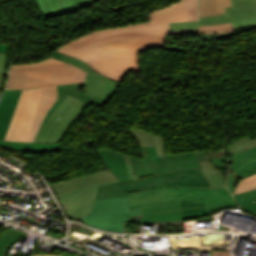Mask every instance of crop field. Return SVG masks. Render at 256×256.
<instances>
[{"mask_svg": "<svg viewBox=\"0 0 256 256\" xmlns=\"http://www.w3.org/2000/svg\"><path fill=\"white\" fill-rule=\"evenodd\" d=\"M169 30V24L151 25V22L99 30L79 36L56 51L89 64L117 53L163 46Z\"/></svg>", "mask_w": 256, "mask_h": 256, "instance_id": "1", "label": "crop field"}, {"mask_svg": "<svg viewBox=\"0 0 256 256\" xmlns=\"http://www.w3.org/2000/svg\"><path fill=\"white\" fill-rule=\"evenodd\" d=\"M180 198L205 202L209 211L235 205L227 188L180 187ZM141 208L143 222L182 220L179 198L130 206Z\"/></svg>", "mask_w": 256, "mask_h": 256, "instance_id": "2", "label": "crop field"}, {"mask_svg": "<svg viewBox=\"0 0 256 256\" xmlns=\"http://www.w3.org/2000/svg\"><path fill=\"white\" fill-rule=\"evenodd\" d=\"M110 170L53 184L68 216L82 220L91 212L97 196V186L117 182Z\"/></svg>", "mask_w": 256, "mask_h": 256, "instance_id": "3", "label": "crop field"}, {"mask_svg": "<svg viewBox=\"0 0 256 256\" xmlns=\"http://www.w3.org/2000/svg\"><path fill=\"white\" fill-rule=\"evenodd\" d=\"M87 72L68 63L33 68H11L6 88L29 89L84 81Z\"/></svg>", "mask_w": 256, "mask_h": 256, "instance_id": "4", "label": "crop field"}, {"mask_svg": "<svg viewBox=\"0 0 256 256\" xmlns=\"http://www.w3.org/2000/svg\"><path fill=\"white\" fill-rule=\"evenodd\" d=\"M165 186L210 187L200 170L187 169L160 174L137 181H128L124 183L117 182L100 186L98 187L97 199L123 197L128 196L127 192L130 191L147 190Z\"/></svg>", "mask_w": 256, "mask_h": 256, "instance_id": "5", "label": "crop field"}, {"mask_svg": "<svg viewBox=\"0 0 256 256\" xmlns=\"http://www.w3.org/2000/svg\"><path fill=\"white\" fill-rule=\"evenodd\" d=\"M127 217H141L139 210H129L128 197L96 200L89 216L82 221L86 225L107 231L122 232V220Z\"/></svg>", "mask_w": 256, "mask_h": 256, "instance_id": "6", "label": "crop field"}, {"mask_svg": "<svg viewBox=\"0 0 256 256\" xmlns=\"http://www.w3.org/2000/svg\"><path fill=\"white\" fill-rule=\"evenodd\" d=\"M85 107L80 100L68 95L47 119L36 142H61Z\"/></svg>", "mask_w": 256, "mask_h": 256, "instance_id": "7", "label": "crop field"}, {"mask_svg": "<svg viewBox=\"0 0 256 256\" xmlns=\"http://www.w3.org/2000/svg\"><path fill=\"white\" fill-rule=\"evenodd\" d=\"M143 157L144 160L130 157L135 171L140 178L187 168H201L194 151L180 154Z\"/></svg>", "mask_w": 256, "mask_h": 256, "instance_id": "8", "label": "crop field"}, {"mask_svg": "<svg viewBox=\"0 0 256 256\" xmlns=\"http://www.w3.org/2000/svg\"><path fill=\"white\" fill-rule=\"evenodd\" d=\"M233 7L225 14L200 18V22L170 24L171 30L198 29V25H212L231 22L235 29L256 25V0H232Z\"/></svg>", "mask_w": 256, "mask_h": 256, "instance_id": "9", "label": "crop field"}, {"mask_svg": "<svg viewBox=\"0 0 256 256\" xmlns=\"http://www.w3.org/2000/svg\"><path fill=\"white\" fill-rule=\"evenodd\" d=\"M150 49H163V47ZM147 50L113 55L97 60L89 64V66L98 73L122 83L131 69H135V72H141L138 52H146Z\"/></svg>", "mask_w": 256, "mask_h": 256, "instance_id": "10", "label": "crop field"}, {"mask_svg": "<svg viewBox=\"0 0 256 256\" xmlns=\"http://www.w3.org/2000/svg\"><path fill=\"white\" fill-rule=\"evenodd\" d=\"M52 58L68 62L88 72L82 91L83 93L110 100L113 93L120 85V83L111 81L94 72L88 65L73 57L54 52Z\"/></svg>", "mask_w": 256, "mask_h": 256, "instance_id": "11", "label": "crop field"}, {"mask_svg": "<svg viewBox=\"0 0 256 256\" xmlns=\"http://www.w3.org/2000/svg\"><path fill=\"white\" fill-rule=\"evenodd\" d=\"M152 24L198 20V0H179L150 13Z\"/></svg>", "mask_w": 256, "mask_h": 256, "instance_id": "12", "label": "crop field"}, {"mask_svg": "<svg viewBox=\"0 0 256 256\" xmlns=\"http://www.w3.org/2000/svg\"><path fill=\"white\" fill-rule=\"evenodd\" d=\"M231 172L229 173L228 187L231 193L234 192L235 186L242 178L256 173V147L231 154Z\"/></svg>", "mask_w": 256, "mask_h": 256, "instance_id": "13", "label": "crop field"}, {"mask_svg": "<svg viewBox=\"0 0 256 256\" xmlns=\"http://www.w3.org/2000/svg\"><path fill=\"white\" fill-rule=\"evenodd\" d=\"M44 19L83 10L97 0H35Z\"/></svg>", "mask_w": 256, "mask_h": 256, "instance_id": "14", "label": "crop field"}, {"mask_svg": "<svg viewBox=\"0 0 256 256\" xmlns=\"http://www.w3.org/2000/svg\"><path fill=\"white\" fill-rule=\"evenodd\" d=\"M55 101H57V86L42 87L40 90L37 111L27 142L34 141L42 121Z\"/></svg>", "mask_w": 256, "mask_h": 256, "instance_id": "15", "label": "crop field"}, {"mask_svg": "<svg viewBox=\"0 0 256 256\" xmlns=\"http://www.w3.org/2000/svg\"><path fill=\"white\" fill-rule=\"evenodd\" d=\"M39 90L40 88L30 89L26 92L23 112L15 141H27L29 130L37 107Z\"/></svg>", "mask_w": 256, "mask_h": 256, "instance_id": "16", "label": "crop field"}, {"mask_svg": "<svg viewBox=\"0 0 256 256\" xmlns=\"http://www.w3.org/2000/svg\"><path fill=\"white\" fill-rule=\"evenodd\" d=\"M83 83L84 82L59 85L58 86V101L55 102L53 107L50 109V111L48 112L45 120L49 117V115L55 110V108L64 100V98L68 94H70V95L80 99L87 106H89L90 104H94V105H97V106H100V107H104L105 104L108 101L81 93L82 87H83ZM45 120H44V122H45ZM44 122H43V124H44ZM43 124H42V126H43ZM42 126H41V128H42ZM36 139H37V137H36ZM36 139H35V141H36Z\"/></svg>", "mask_w": 256, "mask_h": 256, "instance_id": "17", "label": "crop field"}, {"mask_svg": "<svg viewBox=\"0 0 256 256\" xmlns=\"http://www.w3.org/2000/svg\"><path fill=\"white\" fill-rule=\"evenodd\" d=\"M22 90H5L0 101V139L3 140Z\"/></svg>", "mask_w": 256, "mask_h": 256, "instance_id": "18", "label": "crop field"}, {"mask_svg": "<svg viewBox=\"0 0 256 256\" xmlns=\"http://www.w3.org/2000/svg\"><path fill=\"white\" fill-rule=\"evenodd\" d=\"M167 194V195H165ZM130 205L179 197V187L130 193Z\"/></svg>", "mask_w": 256, "mask_h": 256, "instance_id": "19", "label": "crop field"}, {"mask_svg": "<svg viewBox=\"0 0 256 256\" xmlns=\"http://www.w3.org/2000/svg\"><path fill=\"white\" fill-rule=\"evenodd\" d=\"M102 160L108 166V168L114 173V175L119 179L120 182L128 181L129 178L124 169L122 161L119 157L118 152L111 150L101 149L97 151Z\"/></svg>", "mask_w": 256, "mask_h": 256, "instance_id": "20", "label": "crop field"}, {"mask_svg": "<svg viewBox=\"0 0 256 256\" xmlns=\"http://www.w3.org/2000/svg\"><path fill=\"white\" fill-rule=\"evenodd\" d=\"M0 147L18 151L52 152L59 151L60 143H19L0 141Z\"/></svg>", "mask_w": 256, "mask_h": 256, "instance_id": "21", "label": "crop field"}, {"mask_svg": "<svg viewBox=\"0 0 256 256\" xmlns=\"http://www.w3.org/2000/svg\"><path fill=\"white\" fill-rule=\"evenodd\" d=\"M195 153L202 167L201 172L206 177L211 187H225L224 178L220 170L213 169L211 162L208 160L203 151Z\"/></svg>", "mask_w": 256, "mask_h": 256, "instance_id": "22", "label": "crop field"}, {"mask_svg": "<svg viewBox=\"0 0 256 256\" xmlns=\"http://www.w3.org/2000/svg\"><path fill=\"white\" fill-rule=\"evenodd\" d=\"M229 6L231 0H200V17L222 14Z\"/></svg>", "mask_w": 256, "mask_h": 256, "instance_id": "23", "label": "crop field"}, {"mask_svg": "<svg viewBox=\"0 0 256 256\" xmlns=\"http://www.w3.org/2000/svg\"><path fill=\"white\" fill-rule=\"evenodd\" d=\"M25 232L9 227L0 237V256H5L11 244L17 239L23 237ZM63 256H80V255H63Z\"/></svg>", "mask_w": 256, "mask_h": 256, "instance_id": "24", "label": "crop field"}, {"mask_svg": "<svg viewBox=\"0 0 256 256\" xmlns=\"http://www.w3.org/2000/svg\"><path fill=\"white\" fill-rule=\"evenodd\" d=\"M233 197L243 209L256 214V189L233 195Z\"/></svg>", "mask_w": 256, "mask_h": 256, "instance_id": "25", "label": "crop field"}, {"mask_svg": "<svg viewBox=\"0 0 256 256\" xmlns=\"http://www.w3.org/2000/svg\"><path fill=\"white\" fill-rule=\"evenodd\" d=\"M235 30L231 23L219 24L213 26H199V30L193 31H170L168 34H191V33H225Z\"/></svg>", "mask_w": 256, "mask_h": 256, "instance_id": "26", "label": "crop field"}, {"mask_svg": "<svg viewBox=\"0 0 256 256\" xmlns=\"http://www.w3.org/2000/svg\"><path fill=\"white\" fill-rule=\"evenodd\" d=\"M25 92H26V90L22 91V94H21V97L19 99L15 114L13 116V119L11 121L10 127L8 129V132H7L6 137H5L4 140L14 141V139H15L17 127H18L21 112H22Z\"/></svg>", "mask_w": 256, "mask_h": 256, "instance_id": "27", "label": "crop field"}, {"mask_svg": "<svg viewBox=\"0 0 256 256\" xmlns=\"http://www.w3.org/2000/svg\"><path fill=\"white\" fill-rule=\"evenodd\" d=\"M254 146H256V138L251 140L250 137L247 136L234 141L232 144L228 146V150L229 153L231 154L234 152L249 149Z\"/></svg>", "mask_w": 256, "mask_h": 256, "instance_id": "28", "label": "crop field"}, {"mask_svg": "<svg viewBox=\"0 0 256 256\" xmlns=\"http://www.w3.org/2000/svg\"><path fill=\"white\" fill-rule=\"evenodd\" d=\"M131 131L141 145H155L152 133L144 132L136 128L131 129Z\"/></svg>", "mask_w": 256, "mask_h": 256, "instance_id": "29", "label": "crop field"}, {"mask_svg": "<svg viewBox=\"0 0 256 256\" xmlns=\"http://www.w3.org/2000/svg\"><path fill=\"white\" fill-rule=\"evenodd\" d=\"M183 220L211 215L207 208H187L182 210Z\"/></svg>", "mask_w": 256, "mask_h": 256, "instance_id": "30", "label": "crop field"}, {"mask_svg": "<svg viewBox=\"0 0 256 256\" xmlns=\"http://www.w3.org/2000/svg\"><path fill=\"white\" fill-rule=\"evenodd\" d=\"M254 188H256V174H254L248 178L240 180L236 186V190H235L234 194L240 193L243 191H247V190H251Z\"/></svg>", "mask_w": 256, "mask_h": 256, "instance_id": "31", "label": "crop field"}, {"mask_svg": "<svg viewBox=\"0 0 256 256\" xmlns=\"http://www.w3.org/2000/svg\"><path fill=\"white\" fill-rule=\"evenodd\" d=\"M9 54H0V94L6 81ZM4 89V88H3Z\"/></svg>", "mask_w": 256, "mask_h": 256, "instance_id": "32", "label": "crop field"}, {"mask_svg": "<svg viewBox=\"0 0 256 256\" xmlns=\"http://www.w3.org/2000/svg\"><path fill=\"white\" fill-rule=\"evenodd\" d=\"M122 161H123V164L125 166V169L128 173V176L130 178V180H136V179H140L136 174H135V171L133 169V166H132V163L130 161V158L128 155H124V154H121L120 155Z\"/></svg>", "mask_w": 256, "mask_h": 256, "instance_id": "33", "label": "crop field"}, {"mask_svg": "<svg viewBox=\"0 0 256 256\" xmlns=\"http://www.w3.org/2000/svg\"><path fill=\"white\" fill-rule=\"evenodd\" d=\"M60 63H64V62L50 58V59H48V60L41 61V62H37V63H33V64L11 65V67H33V66L50 65V64H60Z\"/></svg>", "mask_w": 256, "mask_h": 256, "instance_id": "34", "label": "crop field"}, {"mask_svg": "<svg viewBox=\"0 0 256 256\" xmlns=\"http://www.w3.org/2000/svg\"><path fill=\"white\" fill-rule=\"evenodd\" d=\"M154 137H155V142H156L157 153L158 154H166V148L163 144L162 137L155 135V134H154Z\"/></svg>", "mask_w": 256, "mask_h": 256, "instance_id": "35", "label": "crop field"}, {"mask_svg": "<svg viewBox=\"0 0 256 256\" xmlns=\"http://www.w3.org/2000/svg\"><path fill=\"white\" fill-rule=\"evenodd\" d=\"M181 208L187 207H206L204 203H196L188 200L180 199Z\"/></svg>", "mask_w": 256, "mask_h": 256, "instance_id": "36", "label": "crop field"}, {"mask_svg": "<svg viewBox=\"0 0 256 256\" xmlns=\"http://www.w3.org/2000/svg\"><path fill=\"white\" fill-rule=\"evenodd\" d=\"M9 53V45H0V53Z\"/></svg>", "mask_w": 256, "mask_h": 256, "instance_id": "37", "label": "crop field"}, {"mask_svg": "<svg viewBox=\"0 0 256 256\" xmlns=\"http://www.w3.org/2000/svg\"><path fill=\"white\" fill-rule=\"evenodd\" d=\"M33 256H62V255H42V254H36V255H33Z\"/></svg>", "mask_w": 256, "mask_h": 256, "instance_id": "38", "label": "crop field"}]
</instances>
